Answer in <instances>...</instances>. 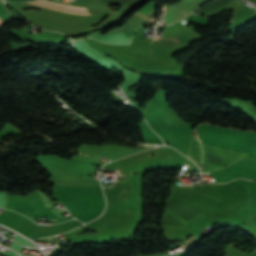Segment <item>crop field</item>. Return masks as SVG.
<instances>
[{
    "label": "crop field",
    "mask_w": 256,
    "mask_h": 256,
    "mask_svg": "<svg viewBox=\"0 0 256 256\" xmlns=\"http://www.w3.org/2000/svg\"><path fill=\"white\" fill-rule=\"evenodd\" d=\"M38 1L49 2V1H44V0H38ZM49 3H53V2H49ZM54 4H58V3H54ZM59 5H64V4H59ZM64 6L75 7V6H70V5H64ZM75 8L82 9L81 7H75Z\"/></svg>",
    "instance_id": "crop-field-2"
},
{
    "label": "crop field",
    "mask_w": 256,
    "mask_h": 256,
    "mask_svg": "<svg viewBox=\"0 0 256 256\" xmlns=\"http://www.w3.org/2000/svg\"><path fill=\"white\" fill-rule=\"evenodd\" d=\"M5 19H6V18L0 16V22L3 21V20H5Z\"/></svg>",
    "instance_id": "crop-field-4"
},
{
    "label": "crop field",
    "mask_w": 256,
    "mask_h": 256,
    "mask_svg": "<svg viewBox=\"0 0 256 256\" xmlns=\"http://www.w3.org/2000/svg\"><path fill=\"white\" fill-rule=\"evenodd\" d=\"M177 29H178V27L167 26V28L165 29V31L162 34V36L173 38V36H174L175 32L177 31Z\"/></svg>",
    "instance_id": "crop-field-1"
},
{
    "label": "crop field",
    "mask_w": 256,
    "mask_h": 256,
    "mask_svg": "<svg viewBox=\"0 0 256 256\" xmlns=\"http://www.w3.org/2000/svg\"><path fill=\"white\" fill-rule=\"evenodd\" d=\"M215 9H217V8H215ZM215 9H213V10H215ZM213 10H211V11H213ZM211 11H209V12H211Z\"/></svg>",
    "instance_id": "crop-field-5"
},
{
    "label": "crop field",
    "mask_w": 256,
    "mask_h": 256,
    "mask_svg": "<svg viewBox=\"0 0 256 256\" xmlns=\"http://www.w3.org/2000/svg\"><path fill=\"white\" fill-rule=\"evenodd\" d=\"M201 145H202L203 154H204V158H205V153H204V147H203V143H201ZM204 158H203V161H204ZM202 172H204V171H203V162H202Z\"/></svg>",
    "instance_id": "crop-field-3"
}]
</instances>
